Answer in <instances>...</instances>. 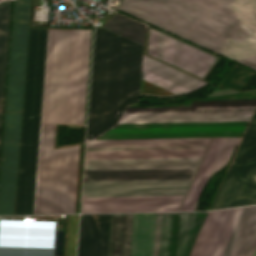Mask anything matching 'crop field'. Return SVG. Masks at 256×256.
Instances as JSON below:
<instances>
[{
  "label": "crop field",
  "mask_w": 256,
  "mask_h": 256,
  "mask_svg": "<svg viewBox=\"0 0 256 256\" xmlns=\"http://www.w3.org/2000/svg\"><path fill=\"white\" fill-rule=\"evenodd\" d=\"M120 10L256 70V0H124Z\"/></svg>",
  "instance_id": "8a807250"
},
{
  "label": "crop field",
  "mask_w": 256,
  "mask_h": 256,
  "mask_svg": "<svg viewBox=\"0 0 256 256\" xmlns=\"http://www.w3.org/2000/svg\"><path fill=\"white\" fill-rule=\"evenodd\" d=\"M256 99L192 101L191 107L126 108L117 124L249 122ZM248 123L115 125L94 139L242 136Z\"/></svg>",
  "instance_id": "ac0d7876"
},
{
  "label": "crop field",
  "mask_w": 256,
  "mask_h": 256,
  "mask_svg": "<svg viewBox=\"0 0 256 256\" xmlns=\"http://www.w3.org/2000/svg\"><path fill=\"white\" fill-rule=\"evenodd\" d=\"M143 47L96 26L87 139L139 102Z\"/></svg>",
  "instance_id": "34b2d1b8"
},
{
  "label": "crop field",
  "mask_w": 256,
  "mask_h": 256,
  "mask_svg": "<svg viewBox=\"0 0 256 256\" xmlns=\"http://www.w3.org/2000/svg\"><path fill=\"white\" fill-rule=\"evenodd\" d=\"M91 36L48 28L41 122L85 124Z\"/></svg>",
  "instance_id": "412701ff"
},
{
  "label": "crop field",
  "mask_w": 256,
  "mask_h": 256,
  "mask_svg": "<svg viewBox=\"0 0 256 256\" xmlns=\"http://www.w3.org/2000/svg\"><path fill=\"white\" fill-rule=\"evenodd\" d=\"M31 0H15L0 176V215L14 214Z\"/></svg>",
  "instance_id": "f4fd0767"
},
{
  "label": "crop field",
  "mask_w": 256,
  "mask_h": 256,
  "mask_svg": "<svg viewBox=\"0 0 256 256\" xmlns=\"http://www.w3.org/2000/svg\"><path fill=\"white\" fill-rule=\"evenodd\" d=\"M46 35L30 29L15 214H33Z\"/></svg>",
  "instance_id": "dd49c442"
},
{
  "label": "crop field",
  "mask_w": 256,
  "mask_h": 256,
  "mask_svg": "<svg viewBox=\"0 0 256 256\" xmlns=\"http://www.w3.org/2000/svg\"><path fill=\"white\" fill-rule=\"evenodd\" d=\"M54 129L41 123L34 214L74 213L79 146L53 150Z\"/></svg>",
  "instance_id": "e52e79f7"
},
{
  "label": "crop field",
  "mask_w": 256,
  "mask_h": 256,
  "mask_svg": "<svg viewBox=\"0 0 256 256\" xmlns=\"http://www.w3.org/2000/svg\"><path fill=\"white\" fill-rule=\"evenodd\" d=\"M201 158L85 160L84 181L192 178Z\"/></svg>",
  "instance_id": "d8731c3e"
},
{
  "label": "crop field",
  "mask_w": 256,
  "mask_h": 256,
  "mask_svg": "<svg viewBox=\"0 0 256 256\" xmlns=\"http://www.w3.org/2000/svg\"><path fill=\"white\" fill-rule=\"evenodd\" d=\"M211 138L87 141L85 159L202 157Z\"/></svg>",
  "instance_id": "5a996713"
},
{
  "label": "crop field",
  "mask_w": 256,
  "mask_h": 256,
  "mask_svg": "<svg viewBox=\"0 0 256 256\" xmlns=\"http://www.w3.org/2000/svg\"><path fill=\"white\" fill-rule=\"evenodd\" d=\"M256 204V111L210 210Z\"/></svg>",
  "instance_id": "3316defc"
},
{
  "label": "crop field",
  "mask_w": 256,
  "mask_h": 256,
  "mask_svg": "<svg viewBox=\"0 0 256 256\" xmlns=\"http://www.w3.org/2000/svg\"><path fill=\"white\" fill-rule=\"evenodd\" d=\"M206 213H157L154 256H188Z\"/></svg>",
  "instance_id": "28ad6ade"
},
{
  "label": "crop field",
  "mask_w": 256,
  "mask_h": 256,
  "mask_svg": "<svg viewBox=\"0 0 256 256\" xmlns=\"http://www.w3.org/2000/svg\"><path fill=\"white\" fill-rule=\"evenodd\" d=\"M241 208L227 210L209 256H222ZM256 246V206L242 208L223 256H252Z\"/></svg>",
  "instance_id": "d1516ede"
},
{
  "label": "crop field",
  "mask_w": 256,
  "mask_h": 256,
  "mask_svg": "<svg viewBox=\"0 0 256 256\" xmlns=\"http://www.w3.org/2000/svg\"><path fill=\"white\" fill-rule=\"evenodd\" d=\"M191 180L84 182L82 197L185 195Z\"/></svg>",
  "instance_id": "22f410ed"
},
{
  "label": "crop field",
  "mask_w": 256,
  "mask_h": 256,
  "mask_svg": "<svg viewBox=\"0 0 256 256\" xmlns=\"http://www.w3.org/2000/svg\"><path fill=\"white\" fill-rule=\"evenodd\" d=\"M184 197L82 198L81 213L178 211Z\"/></svg>",
  "instance_id": "cbeb9de0"
},
{
  "label": "crop field",
  "mask_w": 256,
  "mask_h": 256,
  "mask_svg": "<svg viewBox=\"0 0 256 256\" xmlns=\"http://www.w3.org/2000/svg\"><path fill=\"white\" fill-rule=\"evenodd\" d=\"M110 214L81 215L78 256H107Z\"/></svg>",
  "instance_id": "5142ce71"
},
{
  "label": "crop field",
  "mask_w": 256,
  "mask_h": 256,
  "mask_svg": "<svg viewBox=\"0 0 256 256\" xmlns=\"http://www.w3.org/2000/svg\"><path fill=\"white\" fill-rule=\"evenodd\" d=\"M227 139L228 138H214L213 139V141L207 151V154L203 160V163L200 167V170H199L180 210H192L193 209L199 195L203 191L204 187L206 186V184L212 174V171L217 163V160L223 150V147H224Z\"/></svg>",
  "instance_id": "d9b57169"
},
{
  "label": "crop field",
  "mask_w": 256,
  "mask_h": 256,
  "mask_svg": "<svg viewBox=\"0 0 256 256\" xmlns=\"http://www.w3.org/2000/svg\"><path fill=\"white\" fill-rule=\"evenodd\" d=\"M132 214H112L109 256H129Z\"/></svg>",
  "instance_id": "733c2abd"
},
{
  "label": "crop field",
  "mask_w": 256,
  "mask_h": 256,
  "mask_svg": "<svg viewBox=\"0 0 256 256\" xmlns=\"http://www.w3.org/2000/svg\"><path fill=\"white\" fill-rule=\"evenodd\" d=\"M225 211L208 212L190 256H208Z\"/></svg>",
  "instance_id": "4a817a6b"
},
{
  "label": "crop field",
  "mask_w": 256,
  "mask_h": 256,
  "mask_svg": "<svg viewBox=\"0 0 256 256\" xmlns=\"http://www.w3.org/2000/svg\"><path fill=\"white\" fill-rule=\"evenodd\" d=\"M142 68L171 82L194 91L200 80L143 55Z\"/></svg>",
  "instance_id": "bc2a9ffb"
},
{
  "label": "crop field",
  "mask_w": 256,
  "mask_h": 256,
  "mask_svg": "<svg viewBox=\"0 0 256 256\" xmlns=\"http://www.w3.org/2000/svg\"><path fill=\"white\" fill-rule=\"evenodd\" d=\"M11 1L0 4V133Z\"/></svg>",
  "instance_id": "214f88e0"
},
{
  "label": "crop field",
  "mask_w": 256,
  "mask_h": 256,
  "mask_svg": "<svg viewBox=\"0 0 256 256\" xmlns=\"http://www.w3.org/2000/svg\"><path fill=\"white\" fill-rule=\"evenodd\" d=\"M103 28L143 46L145 26L133 19L116 13Z\"/></svg>",
  "instance_id": "92a150f3"
},
{
  "label": "crop field",
  "mask_w": 256,
  "mask_h": 256,
  "mask_svg": "<svg viewBox=\"0 0 256 256\" xmlns=\"http://www.w3.org/2000/svg\"><path fill=\"white\" fill-rule=\"evenodd\" d=\"M78 215H69L66 256H75Z\"/></svg>",
  "instance_id": "dafd665d"
},
{
  "label": "crop field",
  "mask_w": 256,
  "mask_h": 256,
  "mask_svg": "<svg viewBox=\"0 0 256 256\" xmlns=\"http://www.w3.org/2000/svg\"><path fill=\"white\" fill-rule=\"evenodd\" d=\"M253 256H256V249H255V251H254V254H253Z\"/></svg>",
  "instance_id": "00972430"
}]
</instances>
